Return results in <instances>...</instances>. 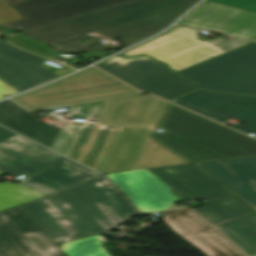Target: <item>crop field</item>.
Masks as SVG:
<instances>
[{"instance_id":"crop-field-24","label":"crop field","mask_w":256,"mask_h":256,"mask_svg":"<svg viewBox=\"0 0 256 256\" xmlns=\"http://www.w3.org/2000/svg\"><path fill=\"white\" fill-rule=\"evenodd\" d=\"M256 12V0H208Z\"/></svg>"},{"instance_id":"crop-field-6","label":"crop field","mask_w":256,"mask_h":256,"mask_svg":"<svg viewBox=\"0 0 256 256\" xmlns=\"http://www.w3.org/2000/svg\"><path fill=\"white\" fill-rule=\"evenodd\" d=\"M140 94L143 93L90 67L11 100L36 112Z\"/></svg>"},{"instance_id":"crop-field-22","label":"crop field","mask_w":256,"mask_h":256,"mask_svg":"<svg viewBox=\"0 0 256 256\" xmlns=\"http://www.w3.org/2000/svg\"><path fill=\"white\" fill-rule=\"evenodd\" d=\"M7 40V39H6ZM8 42L12 43L13 45L23 48L25 50L31 51L33 53L42 55L44 57L50 58L57 53L51 52L48 48H46L42 43L30 40L25 38L22 33L7 40Z\"/></svg>"},{"instance_id":"crop-field-10","label":"crop field","mask_w":256,"mask_h":256,"mask_svg":"<svg viewBox=\"0 0 256 256\" xmlns=\"http://www.w3.org/2000/svg\"><path fill=\"white\" fill-rule=\"evenodd\" d=\"M0 256H67L19 205L0 212Z\"/></svg>"},{"instance_id":"crop-field-12","label":"crop field","mask_w":256,"mask_h":256,"mask_svg":"<svg viewBox=\"0 0 256 256\" xmlns=\"http://www.w3.org/2000/svg\"><path fill=\"white\" fill-rule=\"evenodd\" d=\"M162 220L207 256H247L189 208L162 211Z\"/></svg>"},{"instance_id":"crop-field-13","label":"crop field","mask_w":256,"mask_h":256,"mask_svg":"<svg viewBox=\"0 0 256 256\" xmlns=\"http://www.w3.org/2000/svg\"><path fill=\"white\" fill-rule=\"evenodd\" d=\"M106 176L141 213L174 208L182 198L145 169Z\"/></svg>"},{"instance_id":"crop-field-15","label":"crop field","mask_w":256,"mask_h":256,"mask_svg":"<svg viewBox=\"0 0 256 256\" xmlns=\"http://www.w3.org/2000/svg\"><path fill=\"white\" fill-rule=\"evenodd\" d=\"M178 24L248 39L256 35L255 12L208 1L202 3Z\"/></svg>"},{"instance_id":"crop-field-28","label":"crop field","mask_w":256,"mask_h":256,"mask_svg":"<svg viewBox=\"0 0 256 256\" xmlns=\"http://www.w3.org/2000/svg\"><path fill=\"white\" fill-rule=\"evenodd\" d=\"M66 60L71 61V64H73V65H75V64H77V63H79V62H81V61L77 60V57H76V58H73V59H66Z\"/></svg>"},{"instance_id":"crop-field-1","label":"crop field","mask_w":256,"mask_h":256,"mask_svg":"<svg viewBox=\"0 0 256 256\" xmlns=\"http://www.w3.org/2000/svg\"><path fill=\"white\" fill-rule=\"evenodd\" d=\"M199 0H132L32 29L24 30L27 37L47 44L53 51L65 53L87 52L99 45L101 37L76 44L95 31L106 39L121 38L127 46L143 40L169 24ZM104 47V46H100ZM122 47L96 48L102 52Z\"/></svg>"},{"instance_id":"crop-field-3","label":"crop field","mask_w":256,"mask_h":256,"mask_svg":"<svg viewBox=\"0 0 256 256\" xmlns=\"http://www.w3.org/2000/svg\"><path fill=\"white\" fill-rule=\"evenodd\" d=\"M185 199L205 198L194 208L249 255L256 253V211L193 164L146 169Z\"/></svg>"},{"instance_id":"crop-field-18","label":"crop field","mask_w":256,"mask_h":256,"mask_svg":"<svg viewBox=\"0 0 256 256\" xmlns=\"http://www.w3.org/2000/svg\"><path fill=\"white\" fill-rule=\"evenodd\" d=\"M197 167L256 208V157L195 163Z\"/></svg>"},{"instance_id":"crop-field-27","label":"crop field","mask_w":256,"mask_h":256,"mask_svg":"<svg viewBox=\"0 0 256 256\" xmlns=\"http://www.w3.org/2000/svg\"><path fill=\"white\" fill-rule=\"evenodd\" d=\"M4 1H6L9 5H11V4L19 3L26 0H4Z\"/></svg>"},{"instance_id":"crop-field-20","label":"crop field","mask_w":256,"mask_h":256,"mask_svg":"<svg viewBox=\"0 0 256 256\" xmlns=\"http://www.w3.org/2000/svg\"><path fill=\"white\" fill-rule=\"evenodd\" d=\"M42 196L45 195L20 184L0 183V211Z\"/></svg>"},{"instance_id":"crop-field-16","label":"crop field","mask_w":256,"mask_h":256,"mask_svg":"<svg viewBox=\"0 0 256 256\" xmlns=\"http://www.w3.org/2000/svg\"><path fill=\"white\" fill-rule=\"evenodd\" d=\"M167 103L150 94L106 101L96 123L154 129Z\"/></svg>"},{"instance_id":"crop-field-30","label":"crop field","mask_w":256,"mask_h":256,"mask_svg":"<svg viewBox=\"0 0 256 256\" xmlns=\"http://www.w3.org/2000/svg\"><path fill=\"white\" fill-rule=\"evenodd\" d=\"M254 256H256V255H254Z\"/></svg>"},{"instance_id":"crop-field-7","label":"crop field","mask_w":256,"mask_h":256,"mask_svg":"<svg viewBox=\"0 0 256 256\" xmlns=\"http://www.w3.org/2000/svg\"><path fill=\"white\" fill-rule=\"evenodd\" d=\"M177 74L206 91L256 97V42Z\"/></svg>"},{"instance_id":"crop-field-17","label":"crop field","mask_w":256,"mask_h":256,"mask_svg":"<svg viewBox=\"0 0 256 256\" xmlns=\"http://www.w3.org/2000/svg\"><path fill=\"white\" fill-rule=\"evenodd\" d=\"M45 58L20 50L0 38V79L21 92L56 78L42 64Z\"/></svg>"},{"instance_id":"crop-field-25","label":"crop field","mask_w":256,"mask_h":256,"mask_svg":"<svg viewBox=\"0 0 256 256\" xmlns=\"http://www.w3.org/2000/svg\"><path fill=\"white\" fill-rule=\"evenodd\" d=\"M14 93L18 92L0 80V98Z\"/></svg>"},{"instance_id":"crop-field-19","label":"crop field","mask_w":256,"mask_h":256,"mask_svg":"<svg viewBox=\"0 0 256 256\" xmlns=\"http://www.w3.org/2000/svg\"><path fill=\"white\" fill-rule=\"evenodd\" d=\"M0 124L49 148L60 130L41 121L9 100L0 102Z\"/></svg>"},{"instance_id":"crop-field-21","label":"crop field","mask_w":256,"mask_h":256,"mask_svg":"<svg viewBox=\"0 0 256 256\" xmlns=\"http://www.w3.org/2000/svg\"><path fill=\"white\" fill-rule=\"evenodd\" d=\"M106 242L100 235L65 243L60 248L68 256H110L100 243Z\"/></svg>"},{"instance_id":"crop-field-4","label":"crop field","mask_w":256,"mask_h":256,"mask_svg":"<svg viewBox=\"0 0 256 256\" xmlns=\"http://www.w3.org/2000/svg\"><path fill=\"white\" fill-rule=\"evenodd\" d=\"M159 140L194 162L256 156V140L170 104L159 124Z\"/></svg>"},{"instance_id":"crop-field-23","label":"crop field","mask_w":256,"mask_h":256,"mask_svg":"<svg viewBox=\"0 0 256 256\" xmlns=\"http://www.w3.org/2000/svg\"><path fill=\"white\" fill-rule=\"evenodd\" d=\"M22 18L23 17L19 15L14 9H12L7 3H5L3 0H0V24Z\"/></svg>"},{"instance_id":"crop-field-2","label":"crop field","mask_w":256,"mask_h":256,"mask_svg":"<svg viewBox=\"0 0 256 256\" xmlns=\"http://www.w3.org/2000/svg\"><path fill=\"white\" fill-rule=\"evenodd\" d=\"M21 206L57 244L99 234L137 214L103 176Z\"/></svg>"},{"instance_id":"crop-field-9","label":"crop field","mask_w":256,"mask_h":256,"mask_svg":"<svg viewBox=\"0 0 256 256\" xmlns=\"http://www.w3.org/2000/svg\"><path fill=\"white\" fill-rule=\"evenodd\" d=\"M95 66L141 91L169 101L198 89V86L176 75L165 64L146 56H116Z\"/></svg>"},{"instance_id":"crop-field-14","label":"crop field","mask_w":256,"mask_h":256,"mask_svg":"<svg viewBox=\"0 0 256 256\" xmlns=\"http://www.w3.org/2000/svg\"><path fill=\"white\" fill-rule=\"evenodd\" d=\"M129 0H30L11 5L24 19L1 28L28 29Z\"/></svg>"},{"instance_id":"crop-field-26","label":"crop field","mask_w":256,"mask_h":256,"mask_svg":"<svg viewBox=\"0 0 256 256\" xmlns=\"http://www.w3.org/2000/svg\"><path fill=\"white\" fill-rule=\"evenodd\" d=\"M109 54H111V52H103V53H100V54H81V56H83L85 59H88L92 55H96V56H98L99 58L102 59V58L106 57Z\"/></svg>"},{"instance_id":"crop-field-8","label":"crop field","mask_w":256,"mask_h":256,"mask_svg":"<svg viewBox=\"0 0 256 256\" xmlns=\"http://www.w3.org/2000/svg\"><path fill=\"white\" fill-rule=\"evenodd\" d=\"M198 30L175 26L168 32L123 54L132 57L146 54L166 63L175 72L209 58L241 47L251 41L232 38L228 42L218 37L202 42L196 39Z\"/></svg>"},{"instance_id":"crop-field-11","label":"crop field","mask_w":256,"mask_h":256,"mask_svg":"<svg viewBox=\"0 0 256 256\" xmlns=\"http://www.w3.org/2000/svg\"><path fill=\"white\" fill-rule=\"evenodd\" d=\"M172 102L219 123L230 117L244 121L246 123L237 130L256 133V98L216 94L199 89Z\"/></svg>"},{"instance_id":"crop-field-5","label":"crop field","mask_w":256,"mask_h":256,"mask_svg":"<svg viewBox=\"0 0 256 256\" xmlns=\"http://www.w3.org/2000/svg\"><path fill=\"white\" fill-rule=\"evenodd\" d=\"M0 171L45 195L101 176L0 126Z\"/></svg>"},{"instance_id":"crop-field-29","label":"crop field","mask_w":256,"mask_h":256,"mask_svg":"<svg viewBox=\"0 0 256 256\" xmlns=\"http://www.w3.org/2000/svg\"><path fill=\"white\" fill-rule=\"evenodd\" d=\"M253 40H256V36L254 38H252Z\"/></svg>"}]
</instances>
